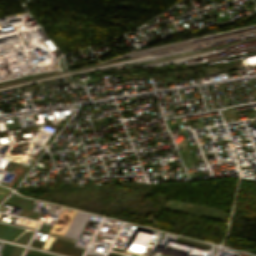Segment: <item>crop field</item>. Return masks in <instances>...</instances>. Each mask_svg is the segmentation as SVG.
Listing matches in <instances>:
<instances>
[{"mask_svg":"<svg viewBox=\"0 0 256 256\" xmlns=\"http://www.w3.org/2000/svg\"><path fill=\"white\" fill-rule=\"evenodd\" d=\"M7 188H4L2 186H0V195L6 190Z\"/></svg>","mask_w":256,"mask_h":256,"instance_id":"crop-field-2","label":"crop field"},{"mask_svg":"<svg viewBox=\"0 0 256 256\" xmlns=\"http://www.w3.org/2000/svg\"><path fill=\"white\" fill-rule=\"evenodd\" d=\"M24 256H53V255L27 249Z\"/></svg>","mask_w":256,"mask_h":256,"instance_id":"crop-field-1","label":"crop field"},{"mask_svg":"<svg viewBox=\"0 0 256 256\" xmlns=\"http://www.w3.org/2000/svg\"><path fill=\"white\" fill-rule=\"evenodd\" d=\"M241 255L247 256V254L242 253Z\"/></svg>","mask_w":256,"mask_h":256,"instance_id":"crop-field-3","label":"crop field"}]
</instances>
